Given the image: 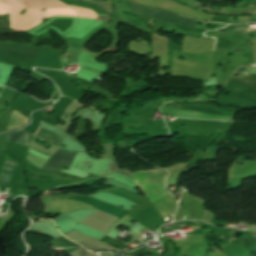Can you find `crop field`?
Here are the masks:
<instances>
[{"label": "crop field", "instance_id": "crop-field-11", "mask_svg": "<svg viewBox=\"0 0 256 256\" xmlns=\"http://www.w3.org/2000/svg\"><path fill=\"white\" fill-rule=\"evenodd\" d=\"M77 248H79V247H73V248L62 249V250H64V251L68 254V253H70V252L76 250Z\"/></svg>", "mask_w": 256, "mask_h": 256}, {"label": "crop field", "instance_id": "crop-field-9", "mask_svg": "<svg viewBox=\"0 0 256 256\" xmlns=\"http://www.w3.org/2000/svg\"><path fill=\"white\" fill-rule=\"evenodd\" d=\"M52 245L54 248H67L72 246H77L74 242H70L69 240L65 239L64 237H60L52 241Z\"/></svg>", "mask_w": 256, "mask_h": 256}, {"label": "crop field", "instance_id": "crop-field-1", "mask_svg": "<svg viewBox=\"0 0 256 256\" xmlns=\"http://www.w3.org/2000/svg\"><path fill=\"white\" fill-rule=\"evenodd\" d=\"M145 174L152 181L155 187L159 190L163 197L169 195L165 186H164V178L166 173L159 171L157 169L153 170H145ZM140 172L132 173L133 180L138 184V186L143 191L144 195L151 201V203L163 198L158 190L154 187V185L150 182L147 176ZM136 184V185H137Z\"/></svg>", "mask_w": 256, "mask_h": 256}, {"label": "crop field", "instance_id": "crop-field-4", "mask_svg": "<svg viewBox=\"0 0 256 256\" xmlns=\"http://www.w3.org/2000/svg\"><path fill=\"white\" fill-rule=\"evenodd\" d=\"M161 110L165 113L177 116V117H184V118H198V119H230L231 117H221V116H213V115H204L199 114L196 112L191 111H185V110H178V109H172V108H165L162 107Z\"/></svg>", "mask_w": 256, "mask_h": 256}, {"label": "crop field", "instance_id": "crop-field-2", "mask_svg": "<svg viewBox=\"0 0 256 256\" xmlns=\"http://www.w3.org/2000/svg\"><path fill=\"white\" fill-rule=\"evenodd\" d=\"M128 3H129L131 13L133 15L146 17V18H156L158 20H162V21H166L174 24L195 27V20L184 18L170 12L139 6L129 0H128Z\"/></svg>", "mask_w": 256, "mask_h": 256}, {"label": "crop field", "instance_id": "crop-field-8", "mask_svg": "<svg viewBox=\"0 0 256 256\" xmlns=\"http://www.w3.org/2000/svg\"><path fill=\"white\" fill-rule=\"evenodd\" d=\"M27 123V118L23 117L22 115L13 112L12 118L9 122L8 129H11L13 127H18L25 125Z\"/></svg>", "mask_w": 256, "mask_h": 256}, {"label": "crop field", "instance_id": "crop-field-3", "mask_svg": "<svg viewBox=\"0 0 256 256\" xmlns=\"http://www.w3.org/2000/svg\"><path fill=\"white\" fill-rule=\"evenodd\" d=\"M77 152L59 148L42 170L61 172L62 166L70 168Z\"/></svg>", "mask_w": 256, "mask_h": 256}, {"label": "crop field", "instance_id": "crop-field-5", "mask_svg": "<svg viewBox=\"0 0 256 256\" xmlns=\"http://www.w3.org/2000/svg\"><path fill=\"white\" fill-rule=\"evenodd\" d=\"M15 167H16V164L8 162L6 160L4 161L3 166L1 168V173H0V183L7 184Z\"/></svg>", "mask_w": 256, "mask_h": 256}, {"label": "crop field", "instance_id": "crop-field-10", "mask_svg": "<svg viewBox=\"0 0 256 256\" xmlns=\"http://www.w3.org/2000/svg\"><path fill=\"white\" fill-rule=\"evenodd\" d=\"M191 228V231H189V232H185V234H199V235H204L206 232H207V230L206 229H204V228H200V227H190Z\"/></svg>", "mask_w": 256, "mask_h": 256}, {"label": "crop field", "instance_id": "crop-field-7", "mask_svg": "<svg viewBox=\"0 0 256 256\" xmlns=\"http://www.w3.org/2000/svg\"><path fill=\"white\" fill-rule=\"evenodd\" d=\"M41 128V127H40ZM40 128L38 129V131L40 130ZM38 131L35 133V136L36 134L38 133ZM38 137L46 140V141H49L51 143H54L56 145H59L61 146V141H62V138L41 128V130L39 131V133L37 134Z\"/></svg>", "mask_w": 256, "mask_h": 256}, {"label": "crop field", "instance_id": "crop-field-13", "mask_svg": "<svg viewBox=\"0 0 256 256\" xmlns=\"http://www.w3.org/2000/svg\"><path fill=\"white\" fill-rule=\"evenodd\" d=\"M184 225H185V226H188L187 223H185ZM180 226H182V225H180Z\"/></svg>", "mask_w": 256, "mask_h": 256}, {"label": "crop field", "instance_id": "crop-field-6", "mask_svg": "<svg viewBox=\"0 0 256 256\" xmlns=\"http://www.w3.org/2000/svg\"><path fill=\"white\" fill-rule=\"evenodd\" d=\"M26 135H27V132H25L22 129L8 132L7 141H14L27 146Z\"/></svg>", "mask_w": 256, "mask_h": 256}, {"label": "crop field", "instance_id": "crop-field-14", "mask_svg": "<svg viewBox=\"0 0 256 256\" xmlns=\"http://www.w3.org/2000/svg\"><path fill=\"white\" fill-rule=\"evenodd\" d=\"M184 218H185V214H184Z\"/></svg>", "mask_w": 256, "mask_h": 256}, {"label": "crop field", "instance_id": "crop-field-12", "mask_svg": "<svg viewBox=\"0 0 256 256\" xmlns=\"http://www.w3.org/2000/svg\"><path fill=\"white\" fill-rule=\"evenodd\" d=\"M61 62L63 64V66L66 65V60H65V55L63 54L62 57H61Z\"/></svg>", "mask_w": 256, "mask_h": 256}]
</instances>
